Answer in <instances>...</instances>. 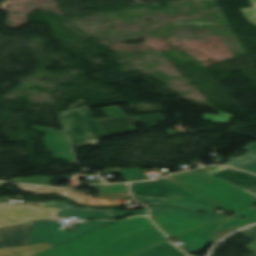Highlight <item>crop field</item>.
Wrapping results in <instances>:
<instances>
[{
  "label": "crop field",
  "instance_id": "obj_12",
  "mask_svg": "<svg viewBox=\"0 0 256 256\" xmlns=\"http://www.w3.org/2000/svg\"><path fill=\"white\" fill-rule=\"evenodd\" d=\"M33 222L0 228V248L26 245Z\"/></svg>",
  "mask_w": 256,
  "mask_h": 256
},
{
  "label": "crop field",
  "instance_id": "obj_15",
  "mask_svg": "<svg viewBox=\"0 0 256 256\" xmlns=\"http://www.w3.org/2000/svg\"><path fill=\"white\" fill-rule=\"evenodd\" d=\"M106 137L131 132L139 123L135 116L98 121Z\"/></svg>",
  "mask_w": 256,
  "mask_h": 256
},
{
  "label": "crop field",
  "instance_id": "obj_18",
  "mask_svg": "<svg viewBox=\"0 0 256 256\" xmlns=\"http://www.w3.org/2000/svg\"><path fill=\"white\" fill-rule=\"evenodd\" d=\"M50 248L48 243L0 249V256H32Z\"/></svg>",
  "mask_w": 256,
  "mask_h": 256
},
{
  "label": "crop field",
  "instance_id": "obj_31",
  "mask_svg": "<svg viewBox=\"0 0 256 256\" xmlns=\"http://www.w3.org/2000/svg\"><path fill=\"white\" fill-rule=\"evenodd\" d=\"M3 185H5V183H0V186H3Z\"/></svg>",
  "mask_w": 256,
  "mask_h": 256
},
{
  "label": "crop field",
  "instance_id": "obj_25",
  "mask_svg": "<svg viewBox=\"0 0 256 256\" xmlns=\"http://www.w3.org/2000/svg\"><path fill=\"white\" fill-rule=\"evenodd\" d=\"M141 123H147L149 127L155 126L153 122L166 120L161 114L137 116Z\"/></svg>",
  "mask_w": 256,
  "mask_h": 256
},
{
  "label": "crop field",
  "instance_id": "obj_29",
  "mask_svg": "<svg viewBox=\"0 0 256 256\" xmlns=\"http://www.w3.org/2000/svg\"><path fill=\"white\" fill-rule=\"evenodd\" d=\"M123 214H140V215H146L148 213V210L146 207H144L143 209H141L140 211H125L122 210Z\"/></svg>",
  "mask_w": 256,
  "mask_h": 256
},
{
  "label": "crop field",
  "instance_id": "obj_6",
  "mask_svg": "<svg viewBox=\"0 0 256 256\" xmlns=\"http://www.w3.org/2000/svg\"><path fill=\"white\" fill-rule=\"evenodd\" d=\"M59 208L4 204L0 206V227L31 220H55Z\"/></svg>",
  "mask_w": 256,
  "mask_h": 256
},
{
  "label": "crop field",
  "instance_id": "obj_2",
  "mask_svg": "<svg viewBox=\"0 0 256 256\" xmlns=\"http://www.w3.org/2000/svg\"><path fill=\"white\" fill-rule=\"evenodd\" d=\"M165 178L222 206V210L237 212L256 204L255 196L202 173L191 171Z\"/></svg>",
  "mask_w": 256,
  "mask_h": 256
},
{
  "label": "crop field",
  "instance_id": "obj_8",
  "mask_svg": "<svg viewBox=\"0 0 256 256\" xmlns=\"http://www.w3.org/2000/svg\"><path fill=\"white\" fill-rule=\"evenodd\" d=\"M39 205L60 207L59 217L74 216L80 219L123 218L121 211L117 209L81 208L64 201L40 202Z\"/></svg>",
  "mask_w": 256,
  "mask_h": 256
},
{
  "label": "crop field",
  "instance_id": "obj_24",
  "mask_svg": "<svg viewBox=\"0 0 256 256\" xmlns=\"http://www.w3.org/2000/svg\"><path fill=\"white\" fill-rule=\"evenodd\" d=\"M108 118L124 117L126 116L118 106H110L100 108ZM102 118V119H108ZM100 120V119H97Z\"/></svg>",
  "mask_w": 256,
  "mask_h": 256
},
{
  "label": "crop field",
  "instance_id": "obj_16",
  "mask_svg": "<svg viewBox=\"0 0 256 256\" xmlns=\"http://www.w3.org/2000/svg\"><path fill=\"white\" fill-rule=\"evenodd\" d=\"M245 149L247 152L243 156L234 157L225 165L256 173V143L245 147Z\"/></svg>",
  "mask_w": 256,
  "mask_h": 256
},
{
  "label": "crop field",
  "instance_id": "obj_9",
  "mask_svg": "<svg viewBox=\"0 0 256 256\" xmlns=\"http://www.w3.org/2000/svg\"><path fill=\"white\" fill-rule=\"evenodd\" d=\"M38 132L45 133L46 138H43L47 150L51 151L55 159H65L69 162H75L70 143L64 132L54 130V128L32 126Z\"/></svg>",
  "mask_w": 256,
  "mask_h": 256
},
{
  "label": "crop field",
  "instance_id": "obj_26",
  "mask_svg": "<svg viewBox=\"0 0 256 256\" xmlns=\"http://www.w3.org/2000/svg\"><path fill=\"white\" fill-rule=\"evenodd\" d=\"M253 8H247V9H242L245 17L252 22L254 25H256V0H250Z\"/></svg>",
  "mask_w": 256,
  "mask_h": 256
},
{
  "label": "crop field",
  "instance_id": "obj_7",
  "mask_svg": "<svg viewBox=\"0 0 256 256\" xmlns=\"http://www.w3.org/2000/svg\"><path fill=\"white\" fill-rule=\"evenodd\" d=\"M231 218L232 217L227 216L225 218H222L220 220L212 222L208 225L200 227L196 230H193L191 232H188L186 234L178 236L184 242V246H183L184 251L186 253H196V252L202 250L207 245L212 234L219 228V226ZM241 227H244V226L234 227V228L226 230L220 234L216 233L214 235L212 241L217 242L224 235H226L236 229H239Z\"/></svg>",
  "mask_w": 256,
  "mask_h": 256
},
{
  "label": "crop field",
  "instance_id": "obj_14",
  "mask_svg": "<svg viewBox=\"0 0 256 256\" xmlns=\"http://www.w3.org/2000/svg\"><path fill=\"white\" fill-rule=\"evenodd\" d=\"M65 197L79 204L85 205H116L119 206V199L131 198L129 193L99 194L98 199H93L81 195L74 190L70 191Z\"/></svg>",
  "mask_w": 256,
  "mask_h": 256
},
{
  "label": "crop field",
  "instance_id": "obj_5",
  "mask_svg": "<svg viewBox=\"0 0 256 256\" xmlns=\"http://www.w3.org/2000/svg\"><path fill=\"white\" fill-rule=\"evenodd\" d=\"M130 188L133 194L190 202L212 208L217 207V205L213 204L212 202L164 178L156 182L132 183Z\"/></svg>",
  "mask_w": 256,
  "mask_h": 256
},
{
  "label": "crop field",
  "instance_id": "obj_19",
  "mask_svg": "<svg viewBox=\"0 0 256 256\" xmlns=\"http://www.w3.org/2000/svg\"><path fill=\"white\" fill-rule=\"evenodd\" d=\"M134 198L137 201H139L143 204H147V203H167V204L179 205V206L186 207V208H189L191 210H196V211H206V212H212L213 211L212 208L203 207V206H199V205H194V204H190V203L175 202V201H169V200L146 197V196H138V195H134Z\"/></svg>",
  "mask_w": 256,
  "mask_h": 256
},
{
  "label": "crop field",
  "instance_id": "obj_27",
  "mask_svg": "<svg viewBox=\"0 0 256 256\" xmlns=\"http://www.w3.org/2000/svg\"><path fill=\"white\" fill-rule=\"evenodd\" d=\"M217 113H219L221 115H226V117L207 116L208 114H204L203 120H212V123H228L230 116H233V115L223 113V112H220V111H217Z\"/></svg>",
  "mask_w": 256,
  "mask_h": 256
},
{
  "label": "crop field",
  "instance_id": "obj_10",
  "mask_svg": "<svg viewBox=\"0 0 256 256\" xmlns=\"http://www.w3.org/2000/svg\"><path fill=\"white\" fill-rule=\"evenodd\" d=\"M169 239L208 224V221L150 217Z\"/></svg>",
  "mask_w": 256,
  "mask_h": 256
},
{
  "label": "crop field",
  "instance_id": "obj_30",
  "mask_svg": "<svg viewBox=\"0 0 256 256\" xmlns=\"http://www.w3.org/2000/svg\"><path fill=\"white\" fill-rule=\"evenodd\" d=\"M18 187L25 191H28V190L34 188L35 186L18 185Z\"/></svg>",
  "mask_w": 256,
  "mask_h": 256
},
{
  "label": "crop field",
  "instance_id": "obj_13",
  "mask_svg": "<svg viewBox=\"0 0 256 256\" xmlns=\"http://www.w3.org/2000/svg\"><path fill=\"white\" fill-rule=\"evenodd\" d=\"M151 208L150 216H160V217H174V218H186V219H197V220H208L215 221L227 215H217V214H198L194 212H189L184 209L174 207V206H149Z\"/></svg>",
  "mask_w": 256,
  "mask_h": 256
},
{
  "label": "crop field",
  "instance_id": "obj_28",
  "mask_svg": "<svg viewBox=\"0 0 256 256\" xmlns=\"http://www.w3.org/2000/svg\"><path fill=\"white\" fill-rule=\"evenodd\" d=\"M63 191H65V190L40 187L30 193H33V194H56V193L63 192Z\"/></svg>",
  "mask_w": 256,
  "mask_h": 256
},
{
  "label": "crop field",
  "instance_id": "obj_1",
  "mask_svg": "<svg viewBox=\"0 0 256 256\" xmlns=\"http://www.w3.org/2000/svg\"><path fill=\"white\" fill-rule=\"evenodd\" d=\"M147 217L119 221L34 256H128L165 241Z\"/></svg>",
  "mask_w": 256,
  "mask_h": 256
},
{
  "label": "crop field",
  "instance_id": "obj_3",
  "mask_svg": "<svg viewBox=\"0 0 256 256\" xmlns=\"http://www.w3.org/2000/svg\"><path fill=\"white\" fill-rule=\"evenodd\" d=\"M81 101H75L70 105V111L59 116L72 146L92 144L90 139L104 136L89 108L72 109Z\"/></svg>",
  "mask_w": 256,
  "mask_h": 256
},
{
  "label": "crop field",
  "instance_id": "obj_17",
  "mask_svg": "<svg viewBox=\"0 0 256 256\" xmlns=\"http://www.w3.org/2000/svg\"><path fill=\"white\" fill-rule=\"evenodd\" d=\"M130 256H186L167 241L147 248Z\"/></svg>",
  "mask_w": 256,
  "mask_h": 256
},
{
  "label": "crop field",
  "instance_id": "obj_21",
  "mask_svg": "<svg viewBox=\"0 0 256 256\" xmlns=\"http://www.w3.org/2000/svg\"><path fill=\"white\" fill-rule=\"evenodd\" d=\"M53 179L52 177L36 176L29 178H13L9 181L48 186Z\"/></svg>",
  "mask_w": 256,
  "mask_h": 256
},
{
  "label": "crop field",
  "instance_id": "obj_20",
  "mask_svg": "<svg viewBox=\"0 0 256 256\" xmlns=\"http://www.w3.org/2000/svg\"><path fill=\"white\" fill-rule=\"evenodd\" d=\"M118 170L125 181L145 180L141 168H120Z\"/></svg>",
  "mask_w": 256,
  "mask_h": 256
},
{
  "label": "crop field",
  "instance_id": "obj_23",
  "mask_svg": "<svg viewBox=\"0 0 256 256\" xmlns=\"http://www.w3.org/2000/svg\"><path fill=\"white\" fill-rule=\"evenodd\" d=\"M238 233L256 242V226L247 228ZM246 247L255 253L252 256H256V243L255 244L251 243V244L247 245Z\"/></svg>",
  "mask_w": 256,
  "mask_h": 256
},
{
  "label": "crop field",
  "instance_id": "obj_22",
  "mask_svg": "<svg viewBox=\"0 0 256 256\" xmlns=\"http://www.w3.org/2000/svg\"><path fill=\"white\" fill-rule=\"evenodd\" d=\"M90 188L97 187L100 188L97 191L98 193H114V192H128L125 184H116V185H91Z\"/></svg>",
  "mask_w": 256,
  "mask_h": 256
},
{
  "label": "crop field",
  "instance_id": "obj_4",
  "mask_svg": "<svg viewBox=\"0 0 256 256\" xmlns=\"http://www.w3.org/2000/svg\"><path fill=\"white\" fill-rule=\"evenodd\" d=\"M113 222L116 221L79 222L75 230L65 232L58 231L60 223L55 221H35L31 228L27 245L48 242L53 247Z\"/></svg>",
  "mask_w": 256,
  "mask_h": 256
},
{
  "label": "crop field",
  "instance_id": "obj_11",
  "mask_svg": "<svg viewBox=\"0 0 256 256\" xmlns=\"http://www.w3.org/2000/svg\"><path fill=\"white\" fill-rule=\"evenodd\" d=\"M208 175L221 178L256 195V176L254 175L224 166L220 170Z\"/></svg>",
  "mask_w": 256,
  "mask_h": 256
}]
</instances>
